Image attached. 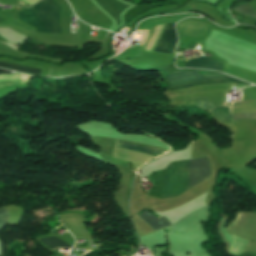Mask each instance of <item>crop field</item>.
I'll return each mask as SVG.
<instances>
[{"instance_id": "obj_6", "label": "crop field", "mask_w": 256, "mask_h": 256, "mask_svg": "<svg viewBox=\"0 0 256 256\" xmlns=\"http://www.w3.org/2000/svg\"><path fill=\"white\" fill-rule=\"evenodd\" d=\"M114 148L121 149V150L132 151V152H137V153H141V154H145V155H149V156H153V157H157L158 155L163 153V151L156 150V149H153V148L134 145V144H129V143H124V142H119V141L116 142V145H115Z\"/></svg>"}, {"instance_id": "obj_11", "label": "crop field", "mask_w": 256, "mask_h": 256, "mask_svg": "<svg viewBox=\"0 0 256 256\" xmlns=\"http://www.w3.org/2000/svg\"><path fill=\"white\" fill-rule=\"evenodd\" d=\"M254 5H255V3H253V4H242V5H238V7L242 8V9H244V10H246V11H248V12L254 14V15H256V6H254ZM232 10H234L236 12H239V13L245 15V16L256 18V16H253L250 13H248V12H246L244 10H241V9H239L237 7L233 8Z\"/></svg>"}, {"instance_id": "obj_4", "label": "crop field", "mask_w": 256, "mask_h": 256, "mask_svg": "<svg viewBox=\"0 0 256 256\" xmlns=\"http://www.w3.org/2000/svg\"><path fill=\"white\" fill-rule=\"evenodd\" d=\"M175 38L177 37L174 31V24H166L154 51L171 53L175 49Z\"/></svg>"}, {"instance_id": "obj_14", "label": "crop field", "mask_w": 256, "mask_h": 256, "mask_svg": "<svg viewBox=\"0 0 256 256\" xmlns=\"http://www.w3.org/2000/svg\"><path fill=\"white\" fill-rule=\"evenodd\" d=\"M196 106L209 112L213 107L218 106V104L210 100L196 98Z\"/></svg>"}, {"instance_id": "obj_2", "label": "crop field", "mask_w": 256, "mask_h": 256, "mask_svg": "<svg viewBox=\"0 0 256 256\" xmlns=\"http://www.w3.org/2000/svg\"><path fill=\"white\" fill-rule=\"evenodd\" d=\"M166 78L169 82L171 90L188 88L208 83L234 82L244 85H250L225 74L202 76L198 74L194 69L184 73L168 76Z\"/></svg>"}, {"instance_id": "obj_8", "label": "crop field", "mask_w": 256, "mask_h": 256, "mask_svg": "<svg viewBox=\"0 0 256 256\" xmlns=\"http://www.w3.org/2000/svg\"><path fill=\"white\" fill-rule=\"evenodd\" d=\"M142 219H144L155 231L165 228V226L170 225L169 221L165 219L164 217H160L159 219L149 213L148 211H143L142 213L138 214ZM171 226V225H170Z\"/></svg>"}, {"instance_id": "obj_12", "label": "crop field", "mask_w": 256, "mask_h": 256, "mask_svg": "<svg viewBox=\"0 0 256 256\" xmlns=\"http://www.w3.org/2000/svg\"><path fill=\"white\" fill-rule=\"evenodd\" d=\"M217 120L221 122H229V110L228 107H218L212 110Z\"/></svg>"}, {"instance_id": "obj_1", "label": "crop field", "mask_w": 256, "mask_h": 256, "mask_svg": "<svg viewBox=\"0 0 256 256\" xmlns=\"http://www.w3.org/2000/svg\"><path fill=\"white\" fill-rule=\"evenodd\" d=\"M209 176L211 174L206 157L189 160V188ZM186 190L188 160L172 163L164 172L162 197L178 196Z\"/></svg>"}, {"instance_id": "obj_10", "label": "crop field", "mask_w": 256, "mask_h": 256, "mask_svg": "<svg viewBox=\"0 0 256 256\" xmlns=\"http://www.w3.org/2000/svg\"><path fill=\"white\" fill-rule=\"evenodd\" d=\"M42 244L54 249V250H58L59 247L62 248H68L71 249L72 247H70L67 243L61 241L60 239L56 238V237H51V238H45V239H40L39 240ZM51 249V250H52Z\"/></svg>"}, {"instance_id": "obj_3", "label": "crop field", "mask_w": 256, "mask_h": 256, "mask_svg": "<svg viewBox=\"0 0 256 256\" xmlns=\"http://www.w3.org/2000/svg\"><path fill=\"white\" fill-rule=\"evenodd\" d=\"M40 3L33 6L36 13L38 11ZM59 11L60 7L54 2H52L51 0H43L37 13L38 17L53 33H61L59 27Z\"/></svg>"}, {"instance_id": "obj_16", "label": "crop field", "mask_w": 256, "mask_h": 256, "mask_svg": "<svg viewBox=\"0 0 256 256\" xmlns=\"http://www.w3.org/2000/svg\"><path fill=\"white\" fill-rule=\"evenodd\" d=\"M9 214L3 208L0 209V229L7 224Z\"/></svg>"}, {"instance_id": "obj_9", "label": "crop field", "mask_w": 256, "mask_h": 256, "mask_svg": "<svg viewBox=\"0 0 256 256\" xmlns=\"http://www.w3.org/2000/svg\"><path fill=\"white\" fill-rule=\"evenodd\" d=\"M22 79L28 81L29 77L20 75V74H13V75H0V81L2 80H16ZM17 80V81H2L0 82V88L7 86V85H18V84H26V81Z\"/></svg>"}, {"instance_id": "obj_5", "label": "crop field", "mask_w": 256, "mask_h": 256, "mask_svg": "<svg viewBox=\"0 0 256 256\" xmlns=\"http://www.w3.org/2000/svg\"><path fill=\"white\" fill-rule=\"evenodd\" d=\"M19 19L25 23H28L36 28L40 32H49L46 26H44L38 19L37 15L32 8L24 9L18 13ZM27 24V25H28ZM29 25V26H30ZM31 26V27H32ZM33 27V28H34ZM50 33V32H49Z\"/></svg>"}, {"instance_id": "obj_18", "label": "crop field", "mask_w": 256, "mask_h": 256, "mask_svg": "<svg viewBox=\"0 0 256 256\" xmlns=\"http://www.w3.org/2000/svg\"><path fill=\"white\" fill-rule=\"evenodd\" d=\"M244 256H249V255H244Z\"/></svg>"}, {"instance_id": "obj_7", "label": "crop field", "mask_w": 256, "mask_h": 256, "mask_svg": "<svg viewBox=\"0 0 256 256\" xmlns=\"http://www.w3.org/2000/svg\"><path fill=\"white\" fill-rule=\"evenodd\" d=\"M221 63L207 57L200 56L194 60L187 62L186 67H195V68H203V69H211L220 71Z\"/></svg>"}, {"instance_id": "obj_17", "label": "crop field", "mask_w": 256, "mask_h": 256, "mask_svg": "<svg viewBox=\"0 0 256 256\" xmlns=\"http://www.w3.org/2000/svg\"><path fill=\"white\" fill-rule=\"evenodd\" d=\"M0 73H11V72L4 71V70H1V69H0Z\"/></svg>"}, {"instance_id": "obj_15", "label": "crop field", "mask_w": 256, "mask_h": 256, "mask_svg": "<svg viewBox=\"0 0 256 256\" xmlns=\"http://www.w3.org/2000/svg\"><path fill=\"white\" fill-rule=\"evenodd\" d=\"M246 119L256 120V114H239L232 116V122Z\"/></svg>"}, {"instance_id": "obj_13", "label": "crop field", "mask_w": 256, "mask_h": 256, "mask_svg": "<svg viewBox=\"0 0 256 256\" xmlns=\"http://www.w3.org/2000/svg\"><path fill=\"white\" fill-rule=\"evenodd\" d=\"M0 67L11 68V69H16V70H20V71L40 74V70L22 67V66L13 65V64H8V63H4V62H0ZM16 70H14V71H16ZM20 71H18V72H20ZM25 72H22V73H25ZM31 73H26V74L38 76L37 74H31Z\"/></svg>"}]
</instances>
